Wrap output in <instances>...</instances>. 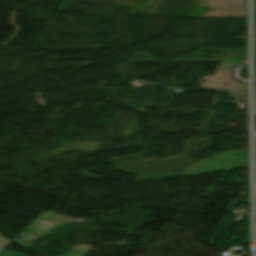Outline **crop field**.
<instances>
[{
	"mask_svg": "<svg viewBox=\"0 0 256 256\" xmlns=\"http://www.w3.org/2000/svg\"><path fill=\"white\" fill-rule=\"evenodd\" d=\"M11 241L7 240L6 238L2 237L0 235V250L4 248L7 244H9Z\"/></svg>",
	"mask_w": 256,
	"mask_h": 256,
	"instance_id": "obj_2",
	"label": "crop field"
},
{
	"mask_svg": "<svg viewBox=\"0 0 256 256\" xmlns=\"http://www.w3.org/2000/svg\"><path fill=\"white\" fill-rule=\"evenodd\" d=\"M0 256H27V255H23V254H19V253H16V252H12V251L2 249L0 251Z\"/></svg>",
	"mask_w": 256,
	"mask_h": 256,
	"instance_id": "obj_1",
	"label": "crop field"
}]
</instances>
